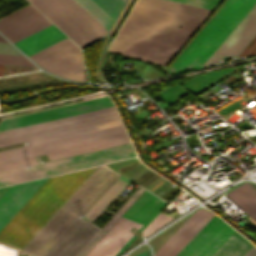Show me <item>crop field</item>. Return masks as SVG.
<instances>
[{
    "label": "crop field",
    "instance_id": "obj_11",
    "mask_svg": "<svg viewBox=\"0 0 256 256\" xmlns=\"http://www.w3.org/2000/svg\"><path fill=\"white\" fill-rule=\"evenodd\" d=\"M256 35V5L223 41L202 67L217 64L226 57H237Z\"/></svg>",
    "mask_w": 256,
    "mask_h": 256
},
{
    "label": "crop field",
    "instance_id": "obj_29",
    "mask_svg": "<svg viewBox=\"0 0 256 256\" xmlns=\"http://www.w3.org/2000/svg\"><path fill=\"white\" fill-rule=\"evenodd\" d=\"M10 186H11V185H10ZM10 186H6V187L0 188V197L6 192V190H7Z\"/></svg>",
    "mask_w": 256,
    "mask_h": 256
},
{
    "label": "crop field",
    "instance_id": "obj_31",
    "mask_svg": "<svg viewBox=\"0 0 256 256\" xmlns=\"http://www.w3.org/2000/svg\"><path fill=\"white\" fill-rule=\"evenodd\" d=\"M5 65H0V76L4 75Z\"/></svg>",
    "mask_w": 256,
    "mask_h": 256
},
{
    "label": "crop field",
    "instance_id": "obj_2",
    "mask_svg": "<svg viewBox=\"0 0 256 256\" xmlns=\"http://www.w3.org/2000/svg\"><path fill=\"white\" fill-rule=\"evenodd\" d=\"M201 22L135 4L108 52L165 66Z\"/></svg>",
    "mask_w": 256,
    "mask_h": 256
},
{
    "label": "crop field",
    "instance_id": "obj_33",
    "mask_svg": "<svg viewBox=\"0 0 256 256\" xmlns=\"http://www.w3.org/2000/svg\"><path fill=\"white\" fill-rule=\"evenodd\" d=\"M0 41L7 42V41H5L1 36H0Z\"/></svg>",
    "mask_w": 256,
    "mask_h": 256
},
{
    "label": "crop field",
    "instance_id": "obj_19",
    "mask_svg": "<svg viewBox=\"0 0 256 256\" xmlns=\"http://www.w3.org/2000/svg\"><path fill=\"white\" fill-rule=\"evenodd\" d=\"M226 196L256 221V191L249 184L241 185Z\"/></svg>",
    "mask_w": 256,
    "mask_h": 256
},
{
    "label": "crop field",
    "instance_id": "obj_28",
    "mask_svg": "<svg viewBox=\"0 0 256 256\" xmlns=\"http://www.w3.org/2000/svg\"><path fill=\"white\" fill-rule=\"evenodd\" d=\"M244 256H256V248L253 246Z\"/></svg>",
    "mask_w": 256,
    "mask_h": 256
},
{
    "label": "crop field",
    "instance_id": "obj_34",
    "mask_svg": "<svg viewBox=\"0 0 256 256\" xmlns=\"http://www.w3.org/2000/svg\"><path fill=\"white\" fill-rule=\"evenodd\" d=\"M124 2H125V0H124Z\"/></svg>",
    "mask_w": 256,
    "mask_h": 256
},
{
    "label": "crop field",
    "instance_id": "obj_23",
    "mask_svg": "<svg viewBox=\"0 0 256 256\" xmlns=\"http://www.w3.org/2000/svg\"><path fill=\"white\" fill-rule=\"evenodd\" d=\"M0 64L35 67L24 56L8 55V54H0Z\"/></svg>",
    "mask_w": 256,
    "mask_h": 256
},
{
    "label": "crop field",
    "instance_id": "obj_16",
    "mask_svg": "<svg viewBox=\"0 0 256 256\" xmlns=\"http://www.w3.org/2000/svg\"><path fill=\"white\" fill-rule=\"evenodd\" d=\"M66 38L53 24L14 43L28 56Z\"/></svg>",
    "mask_w": 256,
    "mask_h": 256
},
{
    "label": "crop field",
    "instance_id": "obj_5",
    "mask_svg": "<svg viewBox=\"0 0 256 256\" xmlns=\"http://www.w3.org/2000/svg\"><path fill=\"white\" fill-rule=\"evenodd\" d=\"M81 48L105 35L122 0H29Z\"/></svg>",
    "mask_w": 256,
    "mask_h": 256
},
{
    "label": "crop field",
    "instance_id": "obj_20",
    "mask_svg": "<svg viewBox=\"0 0 256 256\" xmlns=\"http://www.w3.org/2000/svg\"><path fill=\"white\" fill-rule=\"evenodd\" d=\"M252 246L235 231L212 256H243Z\"/></svg>",
    "mask_w": 256,
    "mask_h": 256
},
{
    "label": "crop field",
    "instance_id": "obj_10",
    "mask_svg": "<svg viewBox=\"0 0 256 256\" xmlns=\"http://www.w3.org/2000/svg\"><path fill=\"white\" fill-rule=\"evenodd\" d=\"M234 231L214 215L175 256H211Z\"/></svg>",
    "mask_w": 256,
    "mask_h": 256
},
{
    "label": "crop field",
    "instance_id": "obj_17",
    "mask_svg": "<svg viewBox=\"0 0 256 256\" xmlns=\"http://www.w3.org/2000/svg\"><path fill=\"white\" fill-rule=\"evenodd\" d=\"M137 3L202 20H204L211 12L210 10L185 5L169 0H138Z\"/></svg>",
    "mask_w": 256,
    "mask_h": 256
},
{
    "label": "crop field",
    "instance_id": "obj_1",
    "mask_svg": "<svg viewBox=\"0 0 256 256\" xmlns=\"http://www.w3.org/2000/svg\"><path fill=\"white\" fill-rule=\"evenodd\" d=\"M120 175L99 166L23 251L36 256H85L144 191L139 188L101 229L80 216L102 196Z\"/></svg>",
    "mask_w": 256,
    "mask_h": 256
},
{
    "label": "crop field",
    "instance_id": "obj_9",
    "mask_svg": "<svg viewBox=\"0 0 256 256\" xmlns=\"http://www.w3.org/2000/svg\"><path fill=\"white\" fill-rule=\"evenodd\" d=\"M30 58L41 68L67 79L85 81L80 50L64 39Z\"/></svg>",
    "mask_w": 256,
    "mask_h": 256
},
{
    "label": "crop field",
    "instance_id": "obj_7",
    "mask_svg": "<svg viewBox=\"0 0 256 256\" xmlns=\"http://www.w3.org/2000/svg\"><path fill=\"white\" fill-rule=\"evenodd\" d=\"M255 3L256 0H227L170 65L168 73L200 68Z\"/></svg>",
    "mask_w": 256,
    "mask_h": 256
},
{
    "label": "crop field",
    "instance_id": "obj_14",
    "mask_svg": "<svg viewBox=\"0 0 256 256\" xmlns=\"http://www.w3.org/2000/svg\"><path fill=\"white\" fill-rule=\"evenodd\" d=\"M132 226L138 230L142 224L121 217L86 256H114L134 235Z\"/></svg>",
    "mask_w": 256,
    "mask_h": 256
},
{
    "label": "crop field",
    "instance_id": "obj_18",
    "mask_svg": "<svg viewBox=\"0 0 256 256\" xmlns=\"http://www.w3.org/2000/svg\"><path fill=\"white\" fill-rule=\"evenodd\" d=\"M130 182L131 181L120 177L84 215V218L93 223Z\"/></svg>",
    "mask_w": 256,
    "mask_h": 256
},
{
    "label": "crop field",
    "instance_id": "obj_3",
    "mask_svg": "<svg viewBox=\"0 0 256 256\" xmlns=\"http://www.w3.org/2000/svg\"><path fill=\"white\" fill-rule=\"evenodd\" d=\"M113 105L109 97L0 121V131ZM122 124L114 106L0 132V147L29 144Z\"/></svg>",
    "mask_w": 256,
    "mask_h": 256
},
{
    "label": "crop field",
    "instance_id": "obj_21",
    "mask_svg": "<svg viewBox=\"0 0 256 256\" xmlns=\"http://www.w3.org/2000/svg\"><path fill=\"white\" fill-rule=\"evenodd\" d=\"M39 74V73H38ZM33 75V74H32ZM41 75V74H40ZM35 76V75H34ZM42 76H46V75H42ZM30 77V76H29ZM36 77H41V76H36ZM24 78V77H23ZM31 78H35V77H31ZM51 78V77H48ZM19 79V78H18ZM25 79H30V78H25ZM25 79H19V80H25ZM42 79H46V78H42ZM19 80H14V81H19ZM36 80H40V79H36ZM14 81H8V82H3V83H9V82H14ZM30 81H35V80H30ZM30 81H24V82H18V83H13V84H8V85H3V86H9V85H14V84H19V83H25V82H30ZM0 83V84H3ZM64 82L58 81L56 79H52V80H46V81H40V82H34V83H29V84H23V85H18V86H12V87H6V88H2L0 89V94L2 93H10V92H16V91H20V90H24V89H28V88H34V87H40V86H47V85H54V84H62ZM0 86V87H3Z\"/></svg>",
    "mask_w": 256,
    "mask_h": 256
},
{
    "label": "crop field",
    "instance_id": "obj_32",
    "mask_svg": "<svg viewBox=\"0 0 256 256\" xmlns=\"http://www.w3.org/2000/svg\"><path fill=\"white\" fill-rule=\"evenodd\" d=\"M137 256H146V253L143 252V253H141V254H139V255H137Z\"/></svg>",
    "mask_w": 256,
    "mask_h": 256
},
{
    "label": "crop field",
    "instance_id": "obj_25",
    "mask_svg": "<svg viewBox=\"0 0 256 256\" xmlns=\"http://www.w3.org/2000/svg\"><path fill=\"white\" fill-rule=\"evenodd\" d=\"M254 54H256V36L247 45V47L240 53L238 57H245V56L254 55Z\"/></svg>",
    "mask_w": 256,
    "mask_h": 256
},
{
    "label": "crop field",
    "instance_id": "obj_12",
    "mask_svg": "<svg viewBox=\"0 0 256 256\" xmlns=\"http://www.w3.org/2000/svg\"><path fill=\"white\" fill-rule=\"evenodd\" d=\"M51 24L30 4L1 18L0 32L12 43Z\"/></svg>",
    "mask_w": 256,
    "mask_h": 256
},
{
    "label": "crop field",
    "instance_id": "obj_24",
    "mask_svg": "<svg viewBox=\"0 0 256 256\" xmlns=\"http://www.w3.org/2000/svg\"><path fill=\"white\" fill-rule=\"evenodd\" d=\"M173 1L190 4V5L210 9V10H213L216 7V5L220 2V0H173Z\"/></svg>",
    "mask_w": 256,
    "mask_h": 256
},
{
    "label": "crop field",
    "instance_id": "obj_22",
    "mask_svg": "<svg viewBox=\"0 0 256 256\" xmlns=\"http://www.w3.org/2000/svg\"><path fill=\"white\" fill-rule=\"evenodd\" d=\"M173 218L160 212L156 218L147 226V228L142 232L144 237L148 236L149 234L153 233L166 223H168Z\"/></svg>",
    "mask_w": 256,
    "mask_h": 256
},
{
    "label": "crop field",
    "instance_id": "obj_27",
    "mask_svg": "<svg viewBox=\"0 0 256 256\" xmlns=\"http://www.w3.org/2000/svg\"><path fill=\"white\" fill-rule=\"evenodd\" d=\"M0 53H8V54H18L22 55L20 52H18L13 46H11L9 43H1L0 42Z\"/></svg>",
    "mask_w": 256,
    "mask_h": 256
},
{
    "label": "crop field",
    "instance_id": "obj_13",
    "mask_svg": "<svg viewBox=\"0 0 256 256\" xmlns=\"http://www.w3.org/2000/svg\"><path fill=\"white\" fill-rule=\"evenodd\" d=\"M47 178L15 184L7 190L0 198V230Z\"/></svg>",
    "mask_w": 256,
    "mask_h": 256
},
{
    "label": "crop field",
    "instance_id": "obj_6",
    "mask_svg": "<svg viewBox=\"0 0 256 256\" xmlns=\"http://www.w3.org/2000/svg\"><path fill=\"white\" fill-rule=\"evenodd\" d=\"M122 125L0 152V172L38 164L34 156L49 160L128 142Z\"/></svg>",
    "mask_w": 256,
    "mask_h": 256
},
{
    "label": "crop field",
    "instance_id": "obj_30",
    "mask_svg": "<svg viewBox=\"0 0 256 256\" xmlns=\"http://www.w3.org/2000/svg\"><path fill=\"white\" fill-rule=\"evenodd\" d=\"M154 175H156V174H155V173L152 174L150 177H148L146 180H144V181H143L142 183H140L139 185L144 184L146 181H148V180H149L150 178H152ZM157 176H159V175H157ZM157 176H156V177H157ZM156 177H154V178H156ZM154 178H153V179H154ZM153 179H152V180H153ZM154 180H155V179H154ZM149 182H150V181H149ZM149 182H148V183H149ZM146 183H147V182H146ZM150 183H151V182H150ZM145 185H146V184H145ZM147 185H148V184H147Z\"/></svg>",
    "mask_w": 256,
    "mask_h": 256
},
{
    "label": "crop field",
    "instance_id": "obj_15",
    "mask_svg": "<svg viewBox=\"0 0 256 256\" xmlns=\"http://www.w3.org/2000/svg\"><path fill=\"white\" fill-rule=\"evenodd\" d=\"M165 202L144 191L134 204L126 211L123 217L144 224L139 231H142L150 221L162 210Z\"/></svg>",
    "mask_w": 256,
    "mask_h": 256
},
{
    "label": "crop field",
    "instance_id": "obj_8",
    "mask_svg": "<svg viewBox=\"0 0 256 256\" xmlns=\"http://www.w3.org/2000/svg\"><path fill=\"white\" fill-rule=\"evenodd\" d=\"M135 156L130 144L0 173V186Z\"/></svg>",
    "mask_w": 256,
    "mask_h": 256
},
{
    "label": "crop field",
    "instance_id": "obj_4",
    "mask_svg": "<svg viewBox=\"0 0 256 256\" xmlns=\"http://www.w3.org/2000/svg\"><path fill=\"white\" fill-rule=\"evenodd\" d=\"M97 167L49 177L0 231V243L22 250Z\"/></svg>",
    "mask_w": 256,
    "mask_h": 256
},
{
    "label": "crop field",
    "instance_id": "obj_26",
    "mask_svg": "<svg viewBox=\"0 0 256 256\" xmlns=\"http://www.w3.org/2000/svg\"><path fill=\"white\" fill-rule=\"evenodd\" d=\"M18 250L0 244V256H22L18 255Z\"/></svg>",
    "mask_w": 256,
    "mask_h": 256
}]
</instances>
